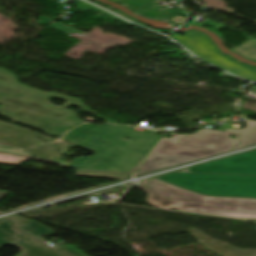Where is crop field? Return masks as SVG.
<instances>
[{
    "mask_svg": "<svg viewBox=\"0 0 256 256\" xmlns=\"http://www.w3.org/2000/svg\"><path fill=\"white\" fill-rule=\"evenodd\" d=\"M154 132L153 135L150 133ZM81 140H67L93 153L91 158H74L70 168L132 173L162 137L156 131L140 132L130 127L85 124L74 129ZM114 136H117L116 138ZM128 137L131 141H124ZM80 147V148H81Z\"/></svg>",
    "mask_w": 256,
    "mask_h": 256,
    "instance_id": "1",
    "label": "crop field"
},
{
    "mask_svg": "<svg viewBox=\"0 0 256 256\" xmlns=\"http://www.w3.org/2000/svg\"><path fill=\"white\" fill-rule=\"evenodd\" d=\"M138 188L149 194L146 201L154 207L256 219V199L208 197L155 178L141 182Z\"/></svg>",
    "mask_w": 256,
    "mask_h": 256,
    "instance_id": "2",
    "label": "crop field"
},
{
    "mask_svg": "<svg viewBox=\"0 0 256 256\" xmlns=\"http://www.w3.org/2000/svg\"><path fill=\"white\" fill-rule=\"evenodd\" d=\"M0 114L16 122L38 128L50 136L62 134L83 123L76 118V112L53 107L50 104L31 99L17 93L13 97L0 92Z\"/></svg>",
    "mask_w": 256,
    "mask_h": 256,
    "instance_id": "3",
    "label": "crop field"
},
{
    "mask_svg": "<svg viewBox=\"0 0 256 256\" xmlns=\"http://www.w3.org/2000/svg\"><path fill=\"white\" fill-rule=\"evenodd\" d=\"M156 178L206 195L256 198V176L170 173Z\"/></svg>",
    "mask_w": 256,
    "mask_h": 256,
    "instance_id": "4",
    "label": "crop field"
},
{
    "mask_svg": "<svg viewBox=\"0 0 256 256\" xmlns=\"http://www.w3.org/2000/svg\"><path fill=\"white\" fill-rule=\"evenodd\" d=\"M172 39L187 47L195 55L218 65L240 77L256 81V66L246 65L230 55H224L219 52L217 46L205 34L199 31H190L184 36L170 35Z\"/></svg>",
    "mask_w": 256,
    "mask_h": 256,
    "instance_id": "5",
    "label": "crop field"
},
{
    "mask_svg": "<svg viewBox=\"0 0 256 256\" xmlns=\"http://www.w3.org/2000/svg\"><path fill=\"white\" fill-rule=\"evenodd\" d=\"M0 91L9 95H14L17 92L21 94L28 95L32 98H36L38 100L44 101V102H49V99L51 97L59 98L61 100L67 101L63 106L64 108H69V106H77L79 107L82 111L91 113L95 117H97L100 120H103L105 122L113 123L116 124L118 122L116 121H108L105 118L101 116H97L95 111L89 110L86 105L81 103L79 99L68 97L59 93H45L38 91L36 89L30 88L28 86H25L23 84H20L17 82V77L13 75L11 72L7 70L0 69Z\"/></svg>",
    "mask_w": 256,
    "mask_h": 256,
    "instance_id": "6",
    "label": "crop field"
},
{
    "mask_svg": "<svg viewBox=\"0 0 256 256\" xmlns=\"http://www.w3.org/2000/svg\"><path fill=\"white\" fill-rule=\"evenodd\" d=\"M193 173L256 175V151L211 161L191 169Z\"/></svg>",
    "mask_w": 256,
    "mask_h": 256,
    "instance_id": "7",
    "label": "crop field"
},
{
    "mask_svg": "<svg viewBox=\"0 0 256 256\" xmlns=\"http://www.w3.org/2000/svg\"><path fill=\"white\" fill-rule=\"evenodd\" d=\"M11 245L22 250L19 256H63L53 249L14 229L7 221H0V247Z\"/></svg>",
    "mask_w": 256,
    "mask_h": 256,
    "instance_id": "8",
    "label": "crop field"
},
{
    "mask_svg": "<svg viewBox=\"0 0 256 256\" xmlns=\"http://www.w3.org/2000/svg\"><path fill=\"white\" fill-rule=\"evenodd\" d=\"M229 135L237 136L238 140H232ZM239 142V134L216 130L202 129L194 135H187L179 143L199 148L227 152Z\"/></svg>",
    "mask_w": 256,
    "mask_h": 256,
    "instance_id": "9",
    "label": "crop field"
},
{
    "mask_svg": "<svg viewBox=\"0 0 256 256\" xmlns=\"http://www.w3.org/2000/svg\"><path fill=\"white\" fill-rule=\"evenodd\" d=\"M9 219L13 221L16 228L24 231L25 233L31 235L32 237H34L42 242L44 241V239L40 236L41 234L47 235V236L56 234L55 232L47 229L45 226L41 225L40 223L30 220V219H27V218H24V217H21V216H18V215H15ZM54 249H56L57 251L61 252L62 254L66 255V256H84L78 250H76L75 248H73L71 246L56 247Z\"/></svg>",
    "mask_w": 256,
    "mask_h": 256,
    "instance_id": "10",
    "label": "crop field"
},
{
    "mask_svg": "<svg viewBox=\"0 0 256 256\" xmlns=\"http://www.w3.org/2000/svg\"><path fill=\"white\" fill-rule=\"evenodd\" d=\"M184 136L186 135H173V138L171 140L163 139L153 152L194 157L200 159L222 153L177 144L178 141Z\"/></svg>",
    "mask_w": 256,
    "mask_h": 256,
    "instance_id": "11",
    "label": "crop field"
},
{
    "mask_svg": "<svg viewBox=\"0 0 256 256\" xmlns=\"http://www.w3.org/2000/svg\"><path fill=\"white\" fill-rule=\"evenodd\" d=\"M199 159L173 156V155H165V154H156L151 153L144 162L138 167L137 170L152 172L192 161H196ZM162 163L161 165H158Z\"/></svg>",
    "mask_w": 256,
    "mask_h": 256,
    "instance_id": "12",
    "label": "crop field"
},
{
    "mask_svg": "<svg viewBox=\"0 0 256 256\" xmlns=\"http://www.w3.org/2000/svg\"><path fill=\"white\" fill-rule=\"evenodd\" d=\"M256 144V122L247 121L244 131H240V142L230 151Z\"/></svg>",
    "mask_w": 256,
    "mask_h": 256,
    "instance_id": "13",
    "label": "crop field"
},
{
    "mask_svg": "<svg viewBox=\"0 0 256 256\" xmlns=\"http://www.w3.org/2000/svg\"><path fill=\"white\" fill-rule=\"evenodd\" d=\"M75 175L76 176H87V177L123 180V179H127L130 174H115V173L81 172V171H77Z\"/></svg>",
    "mask_w": 256,
    "mask_h": 256,
    "instance_id": "14",
    "label": "crop field"
},
{
    "mask_svg": "<svg viewBox=\"0 0 256 256\" xmlns=\"http://www.w3.org/2000/svg\"><path fill=\"white\" fill-rule=\"evenodd\" d=\"M137 11L146 15V16H148V17L155 18V17H157V16H159V15H161V14H163V13L169 11V10H167V9L163 8L161 5L153 2V3L141 8Z\"/></svg>",
    "mask_w": 256,
    "mask_h": 256,
    "instance_id": "15",
    "label": "crop field"
},
{
    "mask_svg": "<svg viewBox=\"0 0 256 256\" xmlns=\"http://www.w3.org/2000/svg\"><path fill=\"white\" fill-rule=\"evenodd\" d=\"M29 159L28 157L7 155L0 153V163L19 166L21 162Z\"/></svg>",
    "mask_w": 256,
    "mask_h": 256,
    "instance_id": "16",
    "label": "crop field"
},
{
    "mask_svg": "<svg viewBox=\"0 0 256 256\" xmlns=\"http://www.w3.org/2000/svg\"><path fill=\"white\" fill-rule=\"evenodd\" d=\"M73 6H77L76 10H78V11H92V12L100 13V14H103V15L108 14L107 12H105V11H103V10L93 6V5H90L88 3H84L82 0L77 1L75 4H73Z\"/></svg>",
    "mask_w": 256,
    "mask_h": 256,
    "instance_id": "17",
    "label": "crop field"
},
{
    "mask_svg": "<svg viewBox=\"0 0 256 256\" xmlns=\"http://www.w3.org/2000/svg\"><path fill=\"white\" fill-rule=\"evenodd\" d=\"M152 1L154 0H117L116 2L136 10Z\"/></svg>",
    "mask_w": 256,
    "mask_h": 256,
    "instance_id": "18",
    "label": "crop field"
},
{
    "mask_svg": "<svg viewBox=\"0 0 256 256\" xmlns=\"http://www.w3.org/2000/svg\"><path fill=\"white\" fill-rule=\"evenodd\" d=\"M49 26L54 28V29H56V30H58V31H61V32L65 33V34H70V33L83 34V32H80V31H78L76 29L70 28V27H68V26H66L64 24H61V23H54V22H52Z\"/></svg>",
    "mask_w": 256,
    "mask_h": 256,
    "instance_id": "19",
    "label": "crop field"
},
{
    "mask_svg": "<svg viewBox=\"0 0 256 256\" xmlns=\"http://www.w3.org/2000/svg\"><path fill=\"white\" fill-rule=\"evenodd\" d=\"M0 152H4V153H14V154H21V155H25V156H28L27 153H23L11 146H8V145H1L0 144Z\"/></svg>",
    "mask_w": 256,
    "mask_h": 256,
    "instance_id": "20",
    "label": "crop field"
},
{
    "mask_svg": "<svg viewBox=\"0 0 256 256\" xmlns=\"http://www.w3.org/2000/svg\"><path fill=\"white\" fill-rule=\"evenodd\" d=\"M38 18H40V20L38 21L39 24L45 26L46 24H48L50 21H52V19L47 18V17H43V16H38Z\"/></svg>",
    "mask_w": 256,
    "mask_h": 256,
    "instance_id": "21",
    "label": "crop field"
},
{
    "mask_svg": "<svg viewBox=\"0 0 256 256\" xmlns=\"http://www.w3.org/2000/svg\"><path fill=\"white\" fill-rule=\"evenodd\" d=\"M64 138V137H63ZM64 139H80L77 135L73 133V131L69 132Z\"/></svg>",
    "mask_w": 256,
    "mask_h": 256,
    "instance_id": "22",
    "label": "crop field"
},
{
    "mask_svg": "<svg viewBox=\"0 0 256 256\" xmlns=\"http://www.w3.org/2000/svg\"><path fill=\"white\" fill-rule=\"evenodd\" d=\"M108 18H110V19H115V20H119V21H121V22H123V23H125V24H127V25H130V23H128V22H126V21H124V20H122V19H119V18L115 17V16L112 15V14L109 15Z\"/></svg>",
    "mask_w": 256,
    "mask_h": 256,
    "instance_id": "23",
    "label": "crop field"
},
{
    "mask_svg": "<svg viewBox=\"0 0 256 256\" xmlns=\"http://www.w3.org/2000/svg\"><path fill=\"white\" fill-rule=\"evenodd\" d=\"M116 13H118V14H120V15H122V16H124V17H126V18H128L129 20H131V21H134V22H137L136 20H134L133 18H131V17H129V16H127V15H125V14H123L122 12H120V11H116Z\"/></svg>",
    "mask_w": 256,
    "mask_h": 256,
    "instance_id": "24",
    "label": "crop field"
},
{
    "mask_svg": "<svg viewBox=\"0 0 256 256\" xmlns=\"http://www.w3.org/2000/svg\"><path fill=\"white\" fill-rule=\"evenodd\" d=\"M7 195H9V193L0 191V201L4 199Z\"/></svg>",
    "mask_w": 256,
    "mask_h": 256,
    "instance_id": "25",
    "label": "crop field"
}]
</instances>
